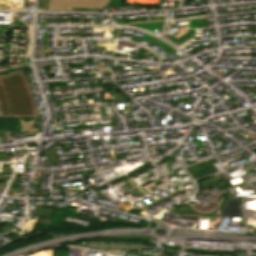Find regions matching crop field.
<instances>
[{"label": "crop field", "mask_w": 256, "mask_h": 256, "mask_svg": "<svg viewBox=\"0 0 256 256\" xmlns=\"http://www.w3.org/2000/svg\"><path fill=\"white\" fill-rule=\"evenodd\" d=\"M0 118H37V107L23 71L0 76Z\"/></svg>", "instance_id": "obj_1"}, {"label": "crop field", "mask_w": 256, "mask_h": 256, "mask_svg": "<svg viewBox=\"0 0 256 256\" xmlns=\"http://www.w3.org/2000/svg\"><path fill=\"white\" fill-rule=\"evenodd\" d=\"M110 0H39V9L72 10L73 7L85 9H102L109 6Z\"/></svg>", "instance_id": "obj_2"}, {"label": "crop field", "mask_w": 256, "mask_h": 256, "mask_svg": "<svg viewBox=\"0 0 256 256\" xmlns=\"http://www.w3.org/2000/svg\"><path fill=\"white\" fill-rule=\"evenodd\" d=\"M53 209L48 208H38L36 210V218H51Z\"/></svg>", "instance_id": "obj_3"}, {"label": "crop field", "mask_w": 256, "mask_h": 256, "mask_svg": "<svg viewBox=\"0 0 256 256\" xmlns=\"http://www.w3.org/2000/svg\"><path fill=\"white\" fill-rule=\"evenodd\" d=\"M32 121L33 120H30L29 122L26 123L24 122V120H20L21 126H22L21 134H23L24 132H30Z\"/></svg>", "instance_id": "obj_4"}]
</instances>
